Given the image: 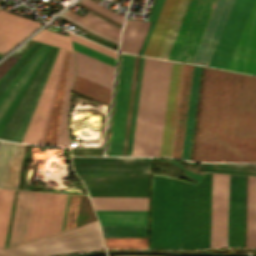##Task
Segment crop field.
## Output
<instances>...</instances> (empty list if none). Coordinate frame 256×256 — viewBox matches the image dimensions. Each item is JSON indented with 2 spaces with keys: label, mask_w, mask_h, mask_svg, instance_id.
<instances>
[{
  "label": "crop field",
  "mask_w": 256,
  "mask_h": 256,
  "mask_svg": "<svg viewBox=\"0 0 256 256\" xmlns=\"http://www.w3.org/2000/svg\"><path fill=\"white\" fill-rule=\"evenodd\" d=\"M200 70H201L200 66H194L190 98H189V105H188V112H187V119H186V126H185V133H184L182 155H181V158L187 159V160H189V157H190V149H191L194 117H195V110H196Z\"/></svg>",
  "instance_id": "22"
},
{
  "label": "crop field",
  "mask_w": 256,
  "mask_h": 256,
  "mask_svg": "<svg viewBox=\"0 0 256 256\" xmlns=\"http://www.w3.org/2000/svg\"><path fill=\"white\" fill-rule=\"evenodd\" d=\"M40 48V47H39ZM49 45L43 44L42 47L37 51V53L32 57L28 64L23 68V70L18 74L10 86L5 90V92L0 97V125L4 121L5 117L9 113L10 109L14 105L15 101L19 97L20 93L24 89L25 85L31 78L32 74L38 67L39 63L47 53ZM18 84L16 85L15 83Z\"/></svg>",
  "instance_id": "17"
},
{
  "label": "crop field",
  "mask_w": 256,
  "mask_h": 256,
  "mask_svg": "<svg viewBox=\"0 0 256 256\" xmlns=\"http://www.w3.org/2000/svg\"><path fill=\"white\" fill-rule=\"evenodd\" d=\"M69 34H70V36H71V39H73V40H75V41H77V42H80V43H82V44H85V45H87V46H89V47H92V48H94V49H96V50H99V51H101V52H103V53H106V54L111 55V56H113V57L116 58V52H114V51H112V50H109V49H107V48H105V47H102V46H100V45H97V44H95V43H93V42H90V41H88V40H86V39H84V38H82V37H80V36H77V35L73 34V33H70V32H69ZM85 45H84V46H85Z\"/></svg>",
  "instance_id": "43"
},
{
  "label": "crop field",
  "mask_w": 256,
  "mask_h": 256,
  "mask_svg": "<svg viewBox=\"0 0 256 256\" xmlns=\"http://www.w3.org/2000/svg\"><path fill=\"white\" fill-rule=\"evenodd\" d=\"M134 56L121 54L107 155H121Z\"/></svg>",
  "instance_id": "9"
},
{
  "label": "crop field",
  "mask_w": 256,
  "mask_h": 256,
  "mask_svg": "<svg viewBox=\"0 0 256 256\" xmlns=\"http://www.w3.org/2000/svg\"><path fill=\"white\" fill-rule=\"evenodd\" d=\"M72 44H73V47H74L75 50H77L79 52H82L84 54H87V55H89L91 57H94L96 59H99V60H101V61H103V62H105V63L114 67L115 61H116L115 58H113L111 56H108L106 54H103V53H101L99 51H96L92 48H89L87 46H84V45H82L80 43H77L73 40H72Z\"/></svg>",
  "instance_id": "38"
},
{
  "label": "crop field",
  "mask_w": 256,
  "mask_h": 256,
  "mask_svg": "<svg viewBox=\"0 0 256 256\" xmlns=\"http://www.w3.org/2000/svg\"><path fill=\"white\" fill-rule=\"evenodd\" d=\"M138 60H139V57L135 56L132 81H136ZM135 83L136 82H132V86H131V94H130V101H129L128 116H127V123H126L122 155H126V152H127V144H128V136H129V129H130L131 114H132Z\"/></svg>",
  "instance_id": "37"
},
{
  "label": "crop field",
  "mask_w": 256,
  "mask_h": 256,
  "mask_svg": "<svg viewBox=\"0 0 256 256\" xmlns=\"http://www.w3.org/2000/svg\"><path fill=\"white\" fill-rule=\"evenodd\" d=\"M69 51L66 52L44 144H56Z\"/></svg>",
  "instance_id": "26"
},
{
  "label": "crop field",
  "mask_w": 256,
  "mask_h": 256,
  "mask_svg": "<svg viewBox=\"0 0 256 256\" xmlns=\"http://www.w3.org/2000/svg\"><path fill=\"white\" fill-rule=\"evenodd\" d=\"M14 190L0 189V247L4 246Z\"/></svg>",
  "instance_id": "31"
},
{
  "label": "crop field",
  "mask_w": 256,
  "mask_h": 256,
  "mask_svg": "<svg viewBox=\"0 0 256 256\" xmlns=\"http://www.w3.org/2000/svg\"><path fill=\"white\" fill-rule=\"evenodd\" d=\"M104 237H147V226H101Z\"/></svg>",
  "instance_id": "32"
},
{
  "label": "crop field",
  "mask_w": 256,
  "mask_h": 256,
  "mask_svg": "<svg viewBox=\"0 0 256 256\" xmlns=\"http://www.w3.org/2000/svg\"><path fill=\"white\" fill-rule=\"evenodd\" d=\"M95 210H147L148 198L90 197Z\"/></svg>",
  "instance_id": "24"
},
{
  "label": "crop field",
  "mask_w": 256,
  "mask_h": 256,
  "mask_svg": "<svg viewBox=\"0 0 256 256\" xmlns=\"http://www.w3.org/2000/svg\"><path fill=\"white\" fill-rule=\"evenodd\" d=\"M79 2L87 5L91 8H93V9H95V10H97V11H99V12H101V13H103V14L111 17V18H113V19H115L116 21H118L120 23H123V20H124L123 17L111 12L110 10L104 8L103 6L99 5L98 3H96L92 0H80Z\"/></svg>",
  "instance_id": "42"
},
{
  "label": "crop field",
  "mask_w": 256,
  "mask_h": 256,
  "mask_svg": "<svg viewBox=\"0 0 256 256\" xmlns=\"http://www.w3.org/2000/svg\"><path fill=\"white\" fill-rule=\"evenodd\" d=\"M56 50V47L51 46L48 53L42 60L41 64L33 74L12 110L0 127V139L12 141L18 127L25 115V112L31 102V99L38 87V84Z\"/></svg>",
  "instance_id": "12"
},
{
  "label": "crop field",
  "mask_w": 256,
  "mask_h": 256,
  "mask_svg": "<svg viewBox=\"0 0 256 256\" xmlns=\"http://www.w3.org/2000/svg\"><path fill=\"white\" fill-rule=\"evenodd\" d=\"M58 50H59V49H57V51H56V53H55V55H54V57H53V59H52L50 65H49V67H48V69H47V71H46V73H45V75H44V77H43V79H42V81H41V83H40V85H39V87H38V89H37V91H36L34 97H33V100H32V102H31V104H30V106H29V108H28V110H27V112H26V115H25V117H24V119H23V121H22V123H21V125H20V128H19V130H18V132H17V134H16V136H15V138H14L13 141L21 142L22 139H23V136H24V134H25V131H26V129H27V126H28V124H29V121H30V119H31V116H32V114H33V111H34V109H35V106H36V104H37V101H38V99H39V96H40V94H41V91H42L43 86H44V84H45V81H46V79H47V77H48V74H49V72H50V69H51V67H52V64H53V62H54V59H55V57H56V55H57Z\"/></svg>",
  "instance_id": "33"
},
{
  "label": "crop field",
  "mask_w": 256,
  "mask_h": 256,
  "mask_svg": "<svg viewBox=\"0 0 256 256\" xmlns=\"http://www.w3.org/2000/svg\"><path fill=\"white\" fill-rule=\"evenodd\" d=\"M247 247L256 248V177L249 176Z\"/></svg>",
  "instance_id": "27"
},
{
  "label": "crop field",
  "mask_w": 256,
  "mask_h": 256,
  "mask_svg": "<svg viewBox=\"0 0 256 256\" xmlns=\"http://www.w3.org/2000/svg\"><path fill=\"white\" fill-rule=\"evenodd\" d=\"M76 91H79L83 94H86L88 96H91L95 99H98L100 101H103L107 104L110 102V95L111 91L108 89H105L101 86H98L96 84H93L89 81H86L84 79H81L76 76L74 86L73 88Z\"/></svg>",
  "instance_id": "30"
},
{
  "label": "crop field",
  "mask_w": 256,
  "mask_h": 256,
  "mask_svg": "<svg viewBox=\"0 0 256 256\" xmlns=\"http://www.w3.org/2000/svg\"><path fill=\"white\" fill-rule=\"evenodd\" d=\"M101 225H147V211H95Z\"/></svg>",
  "instance_id": "25"
},
{
  "label": "crop field",
  "mask_w": 256,
  "mask_h": 256,
  "mask_svg": "<svg viewBox=\"0 0 256 256\" xmlns=\"http://www.w3.org/2000/svg\"><path fill=\"white\" fill-rule=\"evenodd\" d=\"M242 78L206 68L193 160L231 162Z\"/></svg>",
  "instance_id": "2"
},
{
  "label": "crop field",
  "mask_w": 256,
  "mask_h": 256,
  "mask_svg": "<svg viewBox=\"0 0 256 256\" xmlns=\"http://www.w3.org/2000/svg\"><path fill=\"white\" fill-rule=\"evenodd\" d=\"M64 14L69 16V17H71L72 19H74V20H76V21H78V22H80V23H82V24H84V25L94 29V30L102 32V33H104V34H106L108 36H111V37H113V38H115L117 40L119 39V35H117V34H120V30L121 29L116 27V26H114V25H112V24H110V23H108V22H106V21H104L103 19H101V18H99V17H97L95 15L87 13L84 17H86V18H88V19H90V20H92V21L102 25L103 27H105V28H107V29L117 33V34H115V33L111 32V31L101 27L100 25H98V24H96V23H94V22H92V21H90V20H88V19H86L84 17L82 18V17L78 16L77 14H75V13L69 11V10L66 11Z\"/></svg>",
  "instance_id": "29"
},
{
  "label": "crop field",
  "mask_w": 256,
  "mask_h": 256,
  "mask_svg": "<svg viewBox=\"0 0 256 256\" xmlns=\"http://www.w3.org/2000/svg\"><path fill=\"white\" fill-rule=\"evenodd\" d=\"M143 61H144V58L140 57L139 69H138V77H137V85H136V93H135V100H134L133 115H132V122H131V130H130V137H129V144H128L127 155H130V152H131V145H132L134 124H135V117H136V110H137V103H138V96H139V89H140V82H141V75H142V68H143Z\"/></svg>",
  "instance_id": "39"
},
{
  "label": "crop field",
  "mask_w": 256,
  "mask_h": 256,
  "mask_svg": "<svg viewBox=\"0 0 256 256\" xmlns=\"http://www.w3.org/2000/svg\"><path fill=\"white\" fill-rule=\"evenodd\" d=\"M73 79H74V58H73V53L70 51L69 67H68V73H67V80H66V86H65L64 100H63L58 141H57V144L59 145H69L68 132L66 127V115H67L70 87L73 83Z\"/></svg>",
  "instance_id": "28"
},
{
  "label": "crop field",
  "mask_w": 256,
  "mask_h": 256,
  "mask_svg": "<svg viewBox=\"0 0 256 256\" xmlns=\"http://www.w3.org/2000/svg\"><path fill=\"white\" fill-rule=\"evenodd\" d=\"M25 145L0 141V187L17 188Z\"/></svg>",
  "instance_id": "18"
},
{
  "label": "crop field",
  "mask_w": 256,
  "mask_h": 256,
  "mask_svg": "<svg viewBox=\"0 0 256 256\" xmlns=\"http://www.w3.org/2000/svg\"><path fill=\"white\" fill-rule=\"evenodd\" d=\"M36 43H37V42H36ZM36 43H35V44H36ZM35 44H34V45H35ZM34 45H33V46H34ZM33 46H32V47H33ZM32 47H31V48H32ZM31 48H30V49H31ZM30 49H29V50H30ZM29 50H28V51H29ZM28 51H27V52H28ZM27 52H26V53H27ZM26 53H25V54H26ZM25 54H24V55H25ZM24 55H23V56H24ZM22 58H23V57H22ZM22 58H21V59H22ZM21 59H20V60H21ZM20 60H19V61H20ZM19 61H18V62H19ZM18 62H17V63H18ZM17 63H16V64H17ZM16 64H15V65H16ZM15 65H14V66H15ZM14 66H13V67H14ZM13 67H12V68H13ZM12 68H11V69H12ZM11 69H10V70H11ZM10 70H9V71H10ZM9 71H8V72H9ZM8 72H7V73H8ZM7 73H6V74H7ZM6 74L0 79V81L6 76Z\"/></svg>",
  "instance_id": "47"
},
{
  "label": "crop field",
  "mask_w": 256,
  "mask_h": 256,
  "mask_svg": "<svg viewBox=\"0 0 256 256\" xmlns=\"http://www.w3.org/2000/svg\"><path fill=\"white\" fill-rule=\"evenodd\" d=\"M193 66L184 64L172 156L180 158Z\"/></svg>",
  "instance_id": "21"
},
{
  "label": "crop field",
  "mask_w": 256,
  "mask_h": 256,
  "mask_svg": "<svg viewBox=\"0 0 256 256\" xmlns=\"http://www.w3.org/2000/svg\"><path fill=\"white\" fill-rule=\"evenodd\" d=\"M65 51H64V55H65ZM64 55H63V59H64ZM63 59H62V63H63ZM62 63H61V67H62ZM61 67H60V71H61ZM60 71H59V74H58L55 90H54V93H53V97H52V100H51V104H50V107H49L47 118H46V121H45V124H44L42 135H41V138H40V142L39 143H41V144H43V142H44V138H45V134H46V129H47L48 121H49V116H50V112H51V108H52V103H53V99H54V95H55V91H56V87H57Z\"/></svg>",
  "instance_id": "44"
},
{
  "label": "crop field",
  "mask_w": 256,
  "mask_h": 256,
  "mask_svg": "<svg viewBox=\"0 0 256 256\" xmlns=\"http://www.w3.org/2000/svg\"><path fill=\"white\" fill-rule=\"evenodd\" d=\"M32 39L72 51L69 37L43 29Z\"/></svg>",
  "instance_id": "34"
},
{
  "label": "crop field",
  "mask_w": 256,
  "mask_h": 256,
  "mask_svg": "<svg viewBox=\"0 0 256 256\" xmlns=\"http://www.w3.org/2000/svg\"><path fill=\"white\" fill-rule=\"evenodd\" d=\"M40 25L42 23L0 10V53L5 54Z\"/></svg>",
  "instance_id": "16"
},
{
  "label": "crop field",
  "mask_w": 256,
  "mask_h": 256,
  "mask_svg": "<svg viewBox=\"0 0 256 256\" xmlns=\"http://www.w3.org/2000/svg\"><path fill=\"white\" fill-rule=\"evenodd\" d=\"M171 62L145 58L134 156H159Z\"/></svg>",
  "instance_id": "4"
},
{
  "label": "crop field",
  "mask_w": 256,
  "mask_h": 256,
  "mask_svg": "<svg viewBox=\"0 0 256 256\" xmlns=\"http://www.w3.org/2000/svg\"><path fill=\"white\" fill-rule=\"evenodd\" d=\"M66 197L36 192L27 241L60 231Z\"/></svg>",
  "instance_id": "10"
},
{
  "label": "crop field",
  "mask_w": 256,
  "mask_h": 256,
  "mask_svg": "<svg viewBox=\"0 0 256 256\" xmlns=\"http://www.w3.org/2000/svg\"><path fill=\"white\" fill-rule=\"evenodd\" d=\"M183 64L172 62L161 153L171 156Z\"/></svg>",
  "instance_id": "14"
},
{
  "label": "crop field",
  "mask_w": 256,
  "mask_h": 256,
  "mask_svg": "<svg viewBox=\"0 0 256 256\" xmlns=\"http://www.w3.org/2000/svg\"><path fill=\"white\" fill-rule=\"evenodd\" d=\"M150 22L126 20L119 51L137 54Z\"/></svg>",
  "instance_id": "23"
},
{
  "label": "crop field",
  "mask_w": 256,
  "mask_h": 256,
  "mask_svg": "<svg viewBox=\"0 0 256 256\" xmlns=\"http://www.w3.org/2000/svg\"><path fill=\"white\" fill-rule=\"evenodd\" d=\"M154 175L150 248L209 247L211 173L198 185Z\"/></svg>",
  "instance_id": "1"
},
{
  "label": "crop field",
  "mask_w": 256,
  "mask_h": 256,
  "mask_svg": "<svg viewBox=\"0 0 256 256\" xmlns=\"http://www.w3.org/2000/svg\"><path fill=\"white\" fill-rule=\"evenodd\" d=\"M104 247L98 222L37 239L9 249L0 256H52Z\"/></svg>",
  "instance_id": "7"
},
{
  "label": "crop field",
  "mask_w": 256,
  "mask_h": 256,
  "mask_svg": "<svg viewBox=\"0 0 256 256\" xmlns=\"http://www.w3.org/2000/svg\"><path fill=\"white\" fill-rule=\"evenodd\" d=\"M79 198H80V196L71 195L64 230L73 228L75 225V219H76V214H77V209H78Z\"/></svg>",
  "instance_id": "40"
},
{
  "label": "crop field",
  "mask_w": 256,
  "mask_h": 256,
  "mask_svg": "<svg viewBox=\"0 0 256 256\" xmlns=\"http://www.w3.org/2000/svg\"><path fill=\"white\" fill-rule=\"evenodd\" d=\"M229 174L212 173L210 247L227 246ZM245 176L230 174L228 246L243 247Z\"/></svg>",
  "instance_id": "6"
},
{
  "label": "crop field",
  "mask_w": 256,
  "mask_h": 256,
  "mask_svg": "<svg viewBox=\"0 0 256 256\" xmlns=\"http://www.w3.org/2000/svg\"><path fill=\"white\" fill-rule=\"evenodd\" d=\"M210 67L256 74V0H235Z\"/></svg>",
  "instance_id": "5"
},
{
  "label": "crop field",
  "mask_w": 256,
  "mask_h": 256,
  "mask_svg": "<svg viewBox=\"0 0 256 256\" xmlns=\"http://www.w3.org/2000/svg\"><path fill=\"white\" fill-rule=\"evenodd\" d=\"M42 43L38 42L31 51L16 65V67L0 82V95L8 87V85L17 76L23 66L28 62V60L34 55V53L39 49Z\"/></svg>",
  "instance_id": "36"
},
{
  "label": "crop field",
  "mask_w": 256,
  "mask_h": 256,
  "mask_svg": "<svg viewBox=\"0 0 256 256\" xmlns=\"http://www.w3.org/2000/svg\"><path fill=\"white\" fill-rule=\"evenodd\" d=\"M234 0H216L191 63L207 66Z\"/></svg>",
  "instance_id": "13"
},
{
  "label": "crop field",
  "mask_w": 256,
  "mask_h": 256,
  "mask_svg": "<svg viewBox=\"0 0 256 256\" xmlns=\"http://www.w3.org/2000/svg\"><path fill=\"white\" fill-rule=\"evenodd\" d=\"M61 17L65 18V19H67V20H69V21H71L72 23L78 25L79 27H81V28H83V29H85V30H87V31H89V32H91V33H93V34H95V35H98V36H100V37H103V38H105V39H107V40H110V41L115 42V43L118 44V41H117V40L111 39V38H109V37H107V36H105V35H103V34H101V33H99V32H96V31H94V30H91V29H89V28H87V27L81 25L80 23H78V22L72 20L71 18H69V17H67V16H65V15H63V14L61 15Z\"/></svg>",
  "instance_id": "45"
},
{
  "label": "crop field",
  "mask_w": 256,
  "mask_h": 256,
  "mask_svg": "<svg viewBox=\"0 0 256 256\" xmlns=\"http://www.w3.org/2000/svg\"><path fill=\"white\" fill-rule=\"evenodd\" d=\"M75 51V50H74ZM76 75L111 90L114 68L75 51Z\"/></svg>",
  "instance_id": "19"
},
{
  "label": "crop field",
  "mask_w": 256,
  "mask_h": 256,
  "mask_svg": "<svg viewBox=\"0 0 256 256\" xmlns=\"http://www.w3.org/2000/svg\"><path fill=\"white\" fill-rule=\"evenodd\" d=\"M75 173H148V158L72 157Z\"/></svg>",
  "instance_id": "11"
},
{
  "label": "crop field",
  "mask_w": 256,
  "mask_h": 256,
  "mask_svg": "<svg viewBox=\"0 0 256 256\" xmlns=\"http://www.w3.org/2000/svg\"><path fill=\"white\" fill-rule=\"evenodd\" d=\"M63 51L64 50L60 49L58 52V55L55 59V62L53 64V67H52L49 77L46 81V84L44 86V89L42 91V94L40 96V99L38 101V104L36 106V109L34 111V114L32 116V119L30 121V124L28 126V129L26 131V134H25L22 142H25V143H38L39 142L43 124L45 121V117H46L48 107L50 104V100L52 97V93L54 90V86H55L58 70L60 67Z\"/></svg>",
  "instance_id": "15"
},
{
  "label": "crop field",
  "mask_w": 256,
  "mask_h": 256,
  "mask_svg": "<svg viewBox=\"0 0 256 256\" xmlns=\"http://www.w3.org/2000/svg\"><path fill=\"white\" fill-rule=\"evenodd\" d=\"M232 162L256 163V77L243 78Z\"/></svg>",
  "instance_id": "8"
},
{
  "label": "crop field",
  "mask_w": 256,
  "mask_h": 256,
  "mask_svg": "<svg viewBox=\"0 0 256 256\" xmlns=\"http://www.w3.org/2000/svg\"><path fill=\"white\" fill-rule=\"evenodd\" d=\"M169 161H171V162L177 164L176 162H174V161H172V160H169ZM177 165H178V166L182 169V171H183L184 173H186L187 175H189V176H191V177H193V178H195V179H197V180L200 179V176H199V175L185 170V169H184L183 167H181L179 164H177Z\"/></svg>",
  "instance_id": "46"
},
{
  "label": "crop field",
  "mask_w": 256,
  "mask_h": 256,
  "mask_svg": "<svg viewBox=\"0 0 256 256\" xmlns=\"http://www.w3.org/2000/svg\"><path fill=\"white\" fill-rule=\"evenodd\" d=\"M34 194L19 190L9 247L26 242Z\"/></svg>",
  "instance_id": "20"
},
{
  "label": "crop field",
  "mask_w": 256,
  "mask_h": 256,
  "mask_svg": "<svg viewBox=\"0 0 256 256\" xmlns=\"http://www.w3.org/2000/svg\"><path fill=\"white\" fill-rule=\"evenodd\" d=\"M163 2H164V0H156L155 3H154V6H153V8H152V11H151V13H150V15H149V18H148L147 21H152V23H151V25H150V28H149L148 33H147V35H146L145 41H144L143 46H142V48H141V51H140V53H139V54H141V55H142L143 52H144V49H145V47H146V44H147V42H148V39H149V37H150V34H151V32H152V29H153V27H154V24H155V22H156V19H157V17H158V14H159V12H160V9H161V7H162Z\"/></svg>",
  "instance_id": "41"
},
{
  "label": "crop field",
  "mask_w": 256,
  "mask_h": 256,
  "mask_svg": "<svg viewBox=\"0 0 256 256\" xmlns=\"http://www.w3.org/2000/svg\"><path fill=\"white\" fill-rule=\"evenodd\" d=\"M107 248H146L147 238H104Z\"/></svg>",
  "instance_id": "35"
},
{
  "label": "crop field",
  "mask_w": 256,
  "mask_h": 256,
  "mask_svg": "<svg viewBox=\"0 0 256 256\" xmlns=\"http://www.w3.org/2000/svg\"><path fill=\"white\" fill-rule=\"evenodd\" d=\"M180 0H165L143 55L158 57ZM191 0H181L159 57L168 59ZM215 0H192L169 59L190 63ZM155 57V58H156Z\"/></svg>",
  "instance_id": "3"
}]
</instances>
